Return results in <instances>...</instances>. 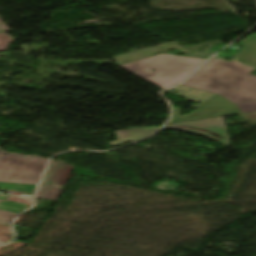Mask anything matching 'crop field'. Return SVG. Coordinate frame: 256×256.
Listing matches in <instances>:
<instances>
[{"label":"crop field","instance_id":"1","mask_svg":"<svg viewBox=\"0 0 256 256\" xmlns=\"http://www.w3.org/2000/svg\"><path fill=\"white\" fill-rule=\"evenodd\" d=\"M255 68L237 61L210 60L183 85L220 94L235 104L256 99Z\"/></svg>","mask_w":256,"mask_h":256},{"label":"crop field","instance_id":"2","mask_svg":"<svg viewBox=\"0 0 256 256\" xmlns=\"http://www.w3.org/2000/svg\"><path fill=\"white\" fill-rule=\"evenodd\" d=\"M204 61L161 53L120 66L164 89L183 81Z\"/></svg>","mask_w":256,"mask_h":256},{"label":"crop field","instance_id":"3","mask_svg":"<svg viewBox=\"0 0 256 256\" xmlns=\"http://www.w3.org/2000/svg\"><path fill=\"white\" fill-rule=\"evenodd\" d=\"M47 161L0 151V188L33 194Z\"/></svg>","mask_w":256,"mask_h":256},{"label":"crop field","instance_id":"4","mask_svg":"<svg viewBox=\"0 0 256 256\" xmlns=\"http://www.w3.org/2000/svg\"><path fill=\"white\" fill-rule=\"evenodd\" d=\"M221 109L222 111H220ZM238 113L241 112L234 103L218 95L210 100L196 105V111L182 118H180V108H173V120L171 122H181Z\"/></svg>","mask_w":256,"mask_h":256},{"label":"crop field","instance_id":"5","mask_svg":"<svg viewBox=\"0 0 256 256\" xmlns=\"http://www.w3.org/2000/svg\"><path fill=\"white\" fill-rule=\"evenodd\" d=\"M164 129H179L196 135L208 137L222 143L225 146L229 145L225 124L222 117L171 124Z\"/></svg>","mask_w":256,"mask_h":256},{"label":"crop field","instance_id":"6","mask_svg":"<svg viewBox=\"0 0 256 256\" xmlns=\"http://www.w3.org/2000/svg\"><path fill=\"white\" fill-rule=\"evenodd\" d=\"M73 168V166L68 164L51 161L41 185L56 186L58 184H66Z\"/></svg>","mask_w":256,"mask_h":256},{"label":"crop field","instance_id":"7","mask_svg":"<svg viewBox=\"0 0 256 256\" xmlns=\"http://www.w3.org/2000/svg\"><path fill=\"white\" fill-rule=\"evenodd\" d=\"M160 127H148V128H130L128 130L116 131L118 140L110 142L111 147H116L125 144L129 141H137L146 138L156 132Z\"/></svg>","mask_w":256,"mask_h":256},{"label":"crop field","instance_id":"8","mask_svg":"<svg viewBox=\"0 0 256 256\" xmlns=\"http://www.w3.org/2000/svg\"><path fill=\"white\" fill-rule=\"evenodd\" d=\"M238 45L244 49L233 57L244 61L249 66L256 67V34L240 41Z\"/></svg>","mask_w":256,"mask_h":256},{"label":"crop field","instance_id":"9","mask_svg":"<svg viewBox=\"0 0 256 256\" xmlns=\"http://www.w3.org/2000/svg\"><path fill=\"white\" fill-rule=\"evenodd\" d=\"M28 207L30 206L16 204L6 200L0 202V223L10 226L14 217Z\"/></svg>","mask_w":256,"mask_h":256},{"label":"crop field","instance_id":"10","mask_svg":"<svg viewBox=\"0 0 256 256\" xmlns=\"http://www.w3.org/2000/svg\"><path fill=\"white\" fill-rule=\"evenodd\" d=\"M63 188H51L40 186L38 188L36 198H45L49 200H56L60 196Z\"/></svg>","mask_w":256,"mask_h":256},{"label":"crop field","instance_id":"11","mask_svg":"<svg viewBox=\"0 0 256 256\" xmlns=\"http://www.w3.org/2000/svg\"><path fill=\"white\" fill-rule=\"evenodd\" d=\"M242 113L256 111V101H248L241 104H237Z\"/></svg>","mask_w":256,"mask_h":256},{"label":"crop field","instance_id":"12","mask_svg":"<svg viewBox=\"0 0 256 256\" xmlns=\"http://www.w3.org/2000/svg\"><path fill=\"white\" fill-rule=\"evenodd\" d=\"M13 39L10 38L5 33L0 34V51H5L7 45L12 41Z\"/></svg>","mask_w":256,"mask_h":256},{"label":"crop field","instance_id":"13","mask_svg":"<svg viewBox=\"0 0 256 256\" xmlns=\"http://www.w3.org/2000/svg\"><path fill=\"white\" fill-rule=\"evenodd\" d=\"M1 243H4V242H0V244H1Z\"/></svg>","mask_w":256,"mask_h":256}]
</instances>
